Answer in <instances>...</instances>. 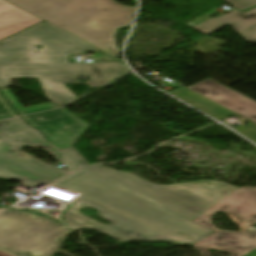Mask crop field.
I'll use <instances>...</instances> for the list:
<instances>
[{
  "label": "crop field",
  "mask_w": 256,
  "mask_h": 256,
  "mask_svg": "<svg viewBox=\"0 0 256 256\" xmlns=\"http://www.w3.org/2000/svg\"><path fill=\"white\" fill-rule=\"evenodd\" d=\"M58 183L190 244L214 233L191 220L239 188L219 181L161 186L105 166Z\"/></svg>",
  "instance_id": "crop-field-1"
},
{
  "label": "crop field",
  "mask_w": 256,
  "mask_h": 256,
  "mask_svg": "<svg viewBox=\"0 0 256 256\" xmlns=\"http://www.w3.org/2000/svg\"><path fill=\"white\" fill-rule=\"evenodd\" d=\"M42 46L40 50L35 45ZM98 49L44 22L0 42V88L12 77H36L49 101L65 105L76 99L63 83L87 76L89 85H104L128 72L122 63L68 64L66 55Z\"/></svg>",
  "instance_id": "crop-field-2"
},
{
  "label": "crop field",
  "mask_w": 256,
  "mask_h": 256,
  "mask_svg": "<svg viewBox=\"0 0 256 256\" xmlns=\"http://www.w3.org/2000/svg\"><path fill=\"white\" fill-rule=\"evenodd\" d=\"M46 22L118 56L113 36L117 28L131 24L136 8L113 0H6Z\"/></svg>",
  "instance_id": "crop-field-3"
},
{
  "label": "crop field",
  "mask_w": 256,
  "mask_h": 256,
  "mask_svg": "<svg viewBox=\"0 0 256 256\" xmlns=\"http://www.w3.org/2000/svg\"><path fill=\"white\" fill-rule=\"evenodd\" d=\"M216 211L227 213L242 230L226 232L213 228L209 218ZM192 221L217 232L194 244L203 256H210L209 248L227 251L231 256L243 255L256 248V233H250L247 228L248 224H256V188L237 189Z\"/></svg>",
  "instance_id": "crop-field-4"
},
{
  "label": "crop field",
  "mask_w": 256,
  "mask_h": 256,
  "mask_svg": "<svg viewBox=\"0 0 256 256\" xmlns=\"http://www.w3.org/2000/svg\"><path fill=\"white\" fill-rule=\"evenodd\" d=\"M71 228L46 217L7 208L0 212V250L14 256H50Z\"/></svg>",
  "instance_id": "crop-field-5"
},
{
  "label": "crop field",
  "mask_w": 256,
  "mask_h": 256,
  "mask_svg": "<svg viewBox=\"0 0 256 256\" xmlns=\"http://www.w3.org/2000/svg\"><path fill=\"white\" fill-rule=\"evenodd\" d=\"M52 186L74 192L58 183ZM70 205L71 206L69 207L68 211L64 214V220L76 228H91L118 241H170L181 245H186V243L170 235H167L147 224H144L85 196H81ZM82 207H90L99 210L98 216L111 221L112 224L101 225L96 221L86 217L85 215L78 212V210ZM129 233H135L136 235L131 237L128 236ZM135 237H138L139 239H134Z\"/></svg>",
  "instance_id": "crop-field-6"
},
{
  "label": "crop field",
  "mask_w": 256,
  "mask_h": 256,
  "mask_svg": "<svg viewBox=\"0 0 256 256\" xmlns=\"http://www.w3.org/2000/svg\"><path fill=\"white\" fill-rule=\"evenodd\" d=\"M21 147L23 146L5 142L0 138V173L31 187L41 182L48 185L68 175L23 153L19 150Z\"/></svg>",
  "instance_id": "crop-field-7"
},
{
  "label": "crop field",
  "mask_w": 256,
  "mask_h": 256,
  "mask_svg": "<svg viewBox=\"0 0 256 256\" xmlns=\"http://www.w3.org/2000/svg\"><path fill=\"white\" fill-rule=\"evenodd\" d=\"M23 118L62 150L73 146L90 126L64 108Z\"/></svg>",
  "instance_id": "crop-field-8"
},
{
  "label": "crop field",
  "mask_w": 256,
  "mask_h": 256,
  "mask_svg": "<svg viewBox=\"0 0 256 256\" xmlns=\"http://www.w3.org/2000/svg\"><path fill=\"white\" fill-rule=\"evenodd\" d=\"M0 136L5 140L31 147L42 146L45 150L52 153L71 172L88 164L74 147L60 152L49 144L40 132L27 126L26 123L0 127Z\"/></svg>",
  "instance_id": "crop-field-9"
},
{
  "label": "crop field",
  "mask_w": 256,
  "mask_h": 256,
  "mask_svg": "<svg viewBox=\"0 0 256 256\" xmlns=\"http://www.w3.org/2000/svg\"><path fill=\"white\" fill-rule=\"evenodd\" d=\"M188 89L248 118L256 123V102L211 80L188 87Z\"/></svg>",
  "instance_id": "crop-field-10"
},
{
  "label": "crop field",
  "mask_w": 256,
  "mask_h": 256,
  "mask_svg": "<svg viewBox=\"0 0 256 256\" xmlns=\"http://www.w3.org/2000/svg\"><path fill=\"white\" fill-rule=\"evenodd\" d=\"M43 20L0 0V40Z\"/></svg>",
  "instance_id": "crop-field-11"
},
{
  "label": "crop field",
  "mask_w": 256,
  "mask_h": 256,
  "mask_svg": "<svg viewBox=\"0 0 256 256\" xmlns=\"http://www.w3.org/2000/svg\"><path fill=\"white\" fill-rule=\"evenodd\" d=\"M227 24H229L238 34L243 32L256 24V8L244 14L235 10L219 18H213L192 29L210 35Z\"/></svg>",
  "instance_id": "crop-field-12"
},
{
  "label": "crop field",
  "mask_w": 256,
  "mask_h": 256,
  "mask_svg": "<svg viewBox=\"0 0 256 256\" xmlns=\"http://www.w3.org/2000/svg\"><path fill=\"white\" fill-rule=\"evenodd\" d=\"M187 103L207 112L211 116L215 117L216 119L220 120L233 112L195 94L194 92L186 89L176 95H174ZM206 113V114H207Z\"/></svg>",
  "instance_id": "crop-field-13"
},
{
  "label": "crop field",
  "mask_w": 256,
  "mask_h": 256,
  "mask_svg": "<svg viewBox=\"0 0 256 256\" xmlns=\"http://www.w3.org/2000/svg\"><path fill=\"white\" fill-rule=\"evenodd\" d=\"M1 90L5 94V96L9 99V101L12 103V105L16 108V110L19 112L20 115H26V114H30V113H35V112H39V111H44V110H48V109H54V108L61 107V106L55 105L53 103H49V104H43V105L24 108L19 103V101L10 93V91L7 88L1 89Z\"/></svg>",
  "instance_id": "crop-field-14"
},
{
  "label": "crop field",
  "mask_w": 256,
  "mask_h": 256,
  "mask_svg": "<svg viewBox=\"0 0 256 256\" xmlns=\"http://www.w3.org/2000/svg\"><path fill=\"white\" fill-rule=\"evenodd\" d=\"M237 131L256 143V124L248 122L237 128Z\"/></svg>",
  "instance_id": "crop-field-15"
},
{
  "label": "crop field",
  "mask_w": 256,
  "mask_h": 256,
  "mask_svg": "<svg viewBox=\"0 0 256 256\" xmlns=\"http://www.w3.org/2000/svg\"><path fill=\"white\" fill-rule=\"evenodd\" d=\"M17 115L16 111L0 94V119Z\"/></svg>",
  "instance_id": "crop-field-16"
},
{
  "label": "crop field",
  "mask_w": 256,
  "mask_h": 256,
  "mask_svg": "<svg viewBox=\"0 0 256 256\" xmlns=\"http://www.w3.org/2000/svg\"><path fill=\"white\" fill-rule=\"evenodd\" d=\"M243 37L247 42L256 43V25L239 34Z\"/></svg>",
  "instance_id": "crop-field-17"
},
{
  "label": "crop field",
  "mask_w": 256,
  "mask_h": 256,
  "mask_svg": "<svg viewBox=\"0 0 256 256\" xmlns=\"http://www.w3.org/2000/svg\"><path fill=\"white\" fill-rule=\"evenodd\" d=\"M228 1L235 4L240 9L256 4V0H228Z\"/></svg>",
  "instance_id": "crop-field-18"
},
{
  "label": "crop field",
  "mask_w": 256,
  "mask_h": 256,
  "mask_svg": "<svg viewBox=\"0 0 256 256\" xmlns=\"http://www.w3.org/2000/svg\"><path fill=\"white\" fill-rule=\"evenodd\" d=\"M22 122L23 121L21 120V118L17 117V118H13V119H9V120L0 121V126L22 123Z\"/></svg>",
  "instance_id": "crop-field-19"
},
{
  "label": "crop field",
  "mask_w": 256,
  "mask_h": 256,
  "mask_svg": "<svg viewBox=\"0 0 256 256\" xmlns=\"http://www.w3.org/2000/svg\"><path fill=\"white\" fill-rule=\"evenodd\" d=\"M72 230H74V229H72ZM72 230H70V231L64 233V234L61 236V238L59 239V241L57 242L56 246H55L54 248H52L51 250H54V251L58 250L59 247H60V245L62 244L63 240L65 239L66 235H67L69 232H71Z\"/></svg>",
  "instance_id": "crop-field-20"
},
{
  "label": "crop field",
  "mask_w": 256,
  "mask_h": 256,
  "mask_svg": "<svg viewBox=\"0 0 256 256\" xmlns=\"http://www.w3.org/2000/svg\"><path fill=\"white\" fill-rule=\"evenodd\" d=\"M252 8H254V7H252ZM252 8H248V9H244V10H241V12H246V11H248V10H250V9H252ZM238 10V9H237ZM240 11V10H239Z\"/></svg>",
  "instance_id": "crop-field-21"
},
{
  "label": "crop field",
  "mask_w": 256,
  "mask_h": 256,
  "mask_svg": "<svg viewBox=\"0 0 256 256\" xmlns=\"http://www.w3.org/2000/svg\"><path fill=\"white\" fill-rule=\"evenodd\" d=\"M0 177H6V178H9V177H7V176H4V175H2V174H0ZM11 179V178H10Z\"/></svg>",
  "instance_id": "crop-field-22"
}]
</instances>
